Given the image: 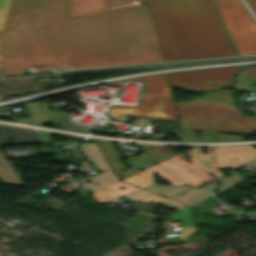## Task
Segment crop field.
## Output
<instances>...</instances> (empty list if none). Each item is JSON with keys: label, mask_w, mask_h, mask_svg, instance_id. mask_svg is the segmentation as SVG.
Returning <instances> with one entry per match:
<instances>
[{"label": "crop field", "mask_w": 256, "mask_h": 256, "mask_svg": "<svg viewBox=\"0 0 256 256\" xmlns=\"http://www.w3.org/2000/svg\"><path fill=\"white\" fill-rule=\"evenodd\" d=\"M233 86L237 90H251L249 87L248 80H247L243 70L239 74V76Z\"/></svg>", "instance_id": "crop-field-23"}, {"label": "crop field", "mask_w": 256, "mask_h": 256, "mask_svg": "<svg viewBox=\"0 0 256 256\" xmlns=\"http://www.w3.org/2000/svg\"><path fill=\"white\" fill-rule=\"evenodd\" d=\"M12 0H0V31L5 30ZM0 73H6L0 55Z\"/></svg>", "instance_id": "crop-field-19"}, {"label": "crop field", "mask_w": 256, "mask_h": 256, "mask_svg": "<svg viewBox=\"0 0 256 256\" xmlns=\"http://www.w3.org/2000/svg\"><path fill=\"white\" fill-rule=\"evenodd\" d=\"M0 52L7 74L29 65L79 69L162 61L147 6L69 19L66 0H13Z\"/></svg>", "instance_id": "crop-field-1"}, {"label": "crop field", "mask_w": 256, "mask_h": 256, "mask_svg": "<svg viewBox=\"0 0 256 256\" xmlns=\"http://www.w3.org/2000/svg\"><path fill=\"white\" fill-rule=\"evenodd\" d=\"M77 146L84 154L86 159H88L89 162L94 161L97 168H99L102 172L100 174L93 175L83 179L85 181L91 180V183H82V185L96 191L102 187H105L109 184L118 181L116 175L110 169L105 159L101 160L103 156L100 153L95 142L77 143ZM96 183H98L99 185H95Z\"/></svg>", "instance_id": "crop-field-10"}, {"label": "crop field", "mask_w": 256, "mask_h": 256, "mask_svg": "<svg viewBox=\"0 0 256 256\" xmlns=\"http://www.w3.org/2000/svg\"><path fill=\"white\" fill-rule=\"evenodd\" d=\"M70 18L103 12L102 0H67Z\"/></svg>", "instance_id": "crop-field-14"}, {"label": "crop field", "mask_w": 256, "mask_h": 256, "mask_svg": "<svg viewBox=\"0 0 256 256\" xmlns=\"http://www.w3.org/2000/svg\"><path fill=\"white\" fill-rule=\"evenodd\" d=\"M155 176L156 175H154L153 173L144 169L123 180L142 188L152 182H155V179H154ZM119 187H123L124 189L122 190ZM138 189L140 188L118 181L92 194L97 202L105 204L110 201L121 198L123 196H126Z\"/></svg>", "instance_id": "crop-field-9"}, {"label": "crop field", "mask_w": 256, "mask_h": 256, "mask_svg": "<svg viewBox=\"0 0 256 256\" xmlns=\"http://www.w3.org/2000/svg\"><path fill=\"white\" fill-rule=\"evenodd\" d=\"M97 145L102 148L109 164L120 179L126 178L144 168H147L155 163H158L166 158L177 154L176 152L166 147L148 146L145 149V154L130 158L128 160L129 164H131L133 167L126 169L119 162L118 153L112 143L98 142ZM120 170H123V172H121Z\"/></svg>", "instance_id": "crop-field-8"}, {"label": "crop field", "mask_w": 256, "mask_h": 256, "mask_svg": "<svg viewBox=\"0 0 256 256\" xmlns=\"http://www.w3.org/2000/svg\"><path fill=\"white\" fill-rule=\"evenodd\" d=\"M75 181H77V182H79V183L85 182V181H83V180H81V179H78V180H75Z\"/></svg>", "instance_id": "crop-field-30"}, {"label": "crop field", "mask_w": 256, "mask_h": 256, "mask_svg": "<svg viewBox=\"0 0 256 256\" xmlns=\"http://www.w3.org/2000/svg\"><path fill=\"white\" fill-rule=\"evenodd\" d=\"M26 110L35 125L49 123V120L45 114L48 103L34 102L25 103ZM40 106L43 108L40 109Z\"/></svg>", "instance_id": "crop-field-16"}, {"label": "crop field", "mask_w": 256, "mask_h": 256, "mask_svg": "<svg viewBox=\"0 0 256 256\" xmlns=\"http://www.w3.org/2000/svg\"><path fill=\"white\" fill-rule=\"evenodd\" d=\"M128 80H145V91L142 93L138 107L110 106L109 114L115 120L125 115L179 121L165 74L144 76ZM127 81V80H122ZM122 81L109 84L121 85Z\"/></svg>", "instance_id": "crop-field-4"}, {"label": "crop field", "mask_w": 256, "mask_h": 256, "mask_svg": "<svg viewBox=\"0 0 256 256\" xmlns=\"http://www.w3.org/2000/svg\"><path fill=\"white\" fill-rule=\"evenodd\" d=\"M251 166H255V167H256V163L252 164ZM255 173H256V170H254V171H253L252 173H250V174L248 173L249 175H247V176H244V175L239 174V173H237V172L233 173L232 175H230V176H228L227 178H225V179L222 180V182H221V184H220V186H219V188H218L216 194H219V193H221V192H223V191H225V190H227V189L233 187L234 184H236V183H238V182H240V181L246 179V177H249V176H251V175H253V174H255ZM237 175H240V176L237 177V178H235V176H237ZM232 180H234V181H233V182H230V181H232ZM244 181H245V180H244ZM242 182H243V181H242ZM240 183H241V182H240Z\"/></svg>", "instance_id": "crop-field-20"}, {"label": "crop field", "mask_w": 256, "mask_h": 256, "mask_svg": "<svg viewBox=\"0 0 256 256\" xmlns=\"http://www.w3.org/2000/svg\"><path fill=\"white\" fill-rule=\"evenodd\" d=\"M39 134L44 142H49V137L53 136L52 134L42 132H39Z\"/></svg>", "instance_id": "crop-field-28"}, {"label": "crop field", "mask_w": 256, "mask_h": 256, "mask_svg": "<svg viewBox=\"0 0 256 256\" xmlns=\"http://www.w3.org/2000/svg\"><path fill=\"white\" fill-rule=\"evenodd\" d=\"M183 131H212L205 108H183L176 106Z\"/></svg>", "instance_id": "crop-field-12"}, {"label": "crop field", "mask_w": 256, "mask_h": 256, "mask_svg": "<svg viewBox=\"0 0 256 256\" xmlns=\"http://www.w3.org/2000/svg\"><path fill=\"white\" fill-rule=\"evenodd\" d=\"M219 141H244L245 137L236 136V135H221L216 134Z\"/></svg>", "instance_id": "crop-field-25"}, {"label": "crop field", "mask_w": 256, "mask_h": 256, "mask_svg": "<svg viewBox=\"0 0 256 256\" xmlns=\"http://www.w3.org/2000/svg\"><path fill=\"white\" fill-rule=\"evenodd\" d=\"M238 69L239 66H234L181 71L168 75L172 88L185 87L189 92L212 91L228 88ZM175 104L183 107H206L213 131L242 134L256 132V119L243 116L238 111L233 92H207L203 97Z\"/></svg>", "instance_id": "crop-field-3"}, {"label": "crop field", "mask_w": 256, "mask_h": 256, "mask_svg": "<svg viewBox=\"0 0 256 256\" xmlns=\"http://www.w3.org/2000/svg\"><path fill=\"white\" fill-rule=\"evenodd\" d=\"M256 14V0H245Z\"/></svg>", "instance_id": "crop-field-27"}, {"label": "crop field", "mask_w": 256, "mask_h": 256, "mask_svg": "<svg viewBox=\"0 0 256 256\" xmlns=\"http://www.w3.org/2000/svg\"><path fill=\"white\" fill-rule=\"evenodd\" d=\"M126 197L133 199V200H137V201H143V202L152 200L159 204H163L166 201L170 200L164 205L166 208H178V209L184 208V205L181 202H178V201H175L172 199H168V198H164L155 193H152V192H149L146 190H142V189H140ZM167 205H170V207H167Z\"/></svg>", "instance_id": "crop-field-15"}, {"label": "crop field", "mask_w": 256, "mask_h": 256, "mask_svg": "<svg viewBox=\"0 0 256 256\" xmlns=\"http://www.w3.org/2000/svg\"><path fill=\"white\" fill-rule=\"evenodd\" d=\"M155 1H161V0H143L144 4L155 2Z\"/></svg>", "instance_id": "crop-field-29"}, {"label": "crop field", "mask_w": 256, "mask_h": 256, "mask_svg": "<svg viewBox=\"0 0 256 256\" xmlns=\"http://www.w3.org/2000/svg\"><path fill=\"white\" fill-rule=\"evenodd\" d=\"M250 84L256 83V66L243 67Z\"/></svg>", "instance_id": "crop-field-24"}, {"label": "crop field", "mask_w": 256, "mask_h": 256, "mask_svg": "<svg viewBox=\"0 0 256 256\" xmlns=\"http://www.w3.org/2000/svg\"><path fill=\"white\" fill-rule=\"evenodd\" d=\"M180 141H215L213 134H203V137H196L194 134H178Z\"/></svg>", "instance_id": "crop-field-22"}, {"label": "crop field", "mask_w": 256, "mask_h": 256, "mask_svg": "<svg viewBox=\"0 0 256 256\" xmlns=\"http://www.w3.org/2000/svg\"><path fill=\"white\" fill-rule=\"evenodd\" d=\"M213 1L238 54H256V21L241 0Z\"/></svg>", "instance_id": "crop-field-5"}, {"label": "crop field", "mask_w": 256, "mask_h": 256, "mask_svg": "<svg viewBox=\"0 0 256 256\" xmlns=\"http://www.w3.org/2000/svg\"><path fill=\"white\" fill-rule=\"evenodd\" d=\"M218 182V181H217ZM217 182L202 188H190V187H182V186H158L154 183L144 187L147 190L164 194L174 199L185 202L188 206L200 200L207 193L211 192L216 186ZM162 189L161 191H158Z\"/></svg>", "instance_id": "crop-field-11"}, {"label": "crop field", "mask_w": 256, "mask_h": 256, "mask_svg": "<svg viewBox=\"0 0 256 256\" xmlns=\"http://www.w3.org/2000/svg\"><path fill=\"white\" fill-rule=\"evenodd\" d=\"M5 129H13L8 131ZM16 137L17 142H10L11 138ZM41 141L37 137L35 131L0 126V144H29L40 143Z\"/></svg>", "instance_id": "crop-field-13"}, {"label": "crop field", "mask_w": 256, "mask_h": 256, "mask_svg": "<svg viewBox=\"0 0 256 256\" xmlns=\"http://www.w3.org/2000/svg\"><path fill=\"white\" fill-rule=\"evenodd\" d=\"M148 5L163 61L236 55L210 0Z\"/></svg>", "instance_id": "crop-field-2"}, {"label": "crop field", "mask_w": 256, "mask_h": 256, "mask_svg": "<svg viewBox=\"0 0 256 256\" xmlns=\"http://www.w3.org/2000/svg\"><path fill=\"white\" fill-rule=\"evenodd\" d=\"M5 76H6V74H1V75H0V77H5Z\"/></svg>", "instance_id": "crop-field-31"}, {"label": "crop field", "mask_w": 256, "mask_h": 256, "mask_svg": "<svg viewBox=\"0 0 256 256\" xmlns=\"http://www.w3.org/2000/svg\"><path fill=\"white\" fill-rule=\"evenodd\" d=\"M105 10H115L143 4L142 0H103Z\"/></svg>", "instance_id": "crop-field-21"}, {"label": "crop field", "mask_w": 256, "mask_h": 256, "mask_svg": "<svg viewBox=\"0 0 256 256\" xmlns=\"http://www.w3.org/2000/svg\"><path fill=\"white\" fill-rule=\"evenodd\" d=\"M48 115L52 121V123H63L62 128L71 129L75 131L82 132L85 125H79L72 121H69L72 115L61 113V112H54V111H47Z\"/></svg>", "instance_id": "crop-field-18"}, {"label": "crop field", "mask_w": 256, "mask_h": 256, "mask_svg": "<svg viewBox=\"0 0 256 256\" xmlns=\"http://www.w3.org/2000/svg\"><path fill=\"white\" fill-rule=\"evenodd\" d=\"M10 109H11L10 107L0 108V111L10 110ZM0 117H8V118H12L15 122L30 124L27 118L15 119V118L11 117L10 114H1L0 113Z\"/></svg>", "instance_id": "crop-field-26"}, {"label": "crop field", "mask_w": 256, "mask_h": 256, "mask_svg": "<svg viewBox=\"0 0 256 256\" xmlns=\"http://www.w3.org/2000/svg\"><path fill=\"white\" fill-rule=\"evenodd\" d=\"M147 169L174 185L202 186L215 180V178L205 173L179 154Z\"/></svg>", "instance_id": "crop-field-7"}, {"label": "crop field", "mask_w": 256, "mask_h": 256, "mask_svg": "<svg viewBox=\"0 0 256 256\" xmlns=\"http://www.w3.org/2000/svg\"><path fill=\"white\" fill-rule=\"evenodd\" d=\"M0 178L7 183L24 185L0 151Z\"/></svg>", "instance_id": "crop-field-17"}, {"label": "crop field", "mask_w": 256, "mask_h": 256, "mask_svg": "<svg viewBox=\"0 0 256 256\" xmlns=\"http://www.w3.org/2000/svg\"><path fill=\"white\" fill-rule=\"evenodd\" d=\"M208 154H202L201 148L191 149L188 154L192 163L199 166L204 171L213 174L216 178L222 175L217 168H236L254 158H256V149L252 146L247 147H215L207 148ZM237 150V152H233ZM237 158V160H234Z\"/></svg>", "instance_id": "crop-field-6"}]
</instances>
